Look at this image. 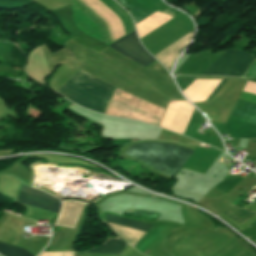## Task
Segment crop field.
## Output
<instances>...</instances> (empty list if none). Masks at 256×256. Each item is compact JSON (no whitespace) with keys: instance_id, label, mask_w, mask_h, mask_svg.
<instances>
[{"instance_id":"13","label":"crop field","mask_w":256,"mask_h":256,"mask_svg":"<svg viewBox=\"0 0 256 256\" xmlns=\"http://www.w3.org/2000/svg\"><path fill=\"white\" fill-rule=\"evenodd\" d=\"M116 1L119 2L122 6H124V7L127 9L128 12L131 13V15H132V17L134 18L135 21H137V20H139L140 18L144 17V16L147 15L148 13H150L149 15H151L152 13L155 12V11H151V10H147V9L140 8V7L135 6V7H137V8H140V9H142V10L148 12V13H146V12H144V11H142V10H140V9H137V8H135V7H133V6L129 5V4H126L125 2H123V1H125V0H123V1H122V0H116ZM149 15L145 16L144 18L148 17ZM144 18H142V19H140L139 21L135 22V24L138 23V22H140V21L143 20Z\"/></svg>"},{"instance_id":"5","label":"crop field","mask_w":256,"mask_h":256,"mask_svg":"<svg viewBox=\"0 0 256 256\" xmlns=\"http://www.w3.org/2000/svg\"><path fill=\"white\" fill-rule=\"evenodd\" d=\"M254 58L255 57L239 50L229 49L201 75H228L243 77Z\"/></svg>"},{"instance_id":"6","label":"crop field","mask_w":256,"mask_h":256,"mask_svg":"<svg viewBox=\"0 0 256 256\" xmlns=\"http://www.w3.org/2000/svg\"><path fill=\"white\" fill-rule=\"evenodd\" d=\"M109 46L113 47L114 49L118 50L122 54L126 55L127 57L131 58L132 60L138 62L145 67L156 61L143 49L139 40L136 37L135 31L127 35L122 40Z\"/></svg>"},{"instance_id":"16","label":"crop field","mask_w":256,"mask_h":256,"mask_svg":"<svg viewBox=\"0 0 256 256\" xmlns=\"http://www.w3.org/2000/svg\"><path fill=\"white\" fill-rule=\"evenodd\" d=\"M40 255H41V253H40ZM40 255H39V256H40Z\"/></svg>"},{"instance_id":"7","label":"crop field","mask_w":256,"mask_h":256,"mask_svg":"<svg viewBox=\"0 0 256 256\" xmlns=\"http://www.w3.org/2000/svg\"><path fill=\"white\" fill-rule=\"evenodd\" d=\"M21 192H25V193H29V194H33L36 196H40V197H44L47 199H51V200H55V201H59L57 199H55L54 197L41 192L39 190L36 189H32V188H28L24 185H22V188L20 190ZM18 196L17 199V203H21V204H25V205H29L32 207H36V208H40V209H44V210H48V211H52V212H56L58 213L59 208H60V204L59 202H55V201H51V200H47L44 198H40V197H36L33 195H29V194H25V193H21Z\"/></svg>"},{"instance_id":"9","label":"crop field","mask_w":256,"mask_h":256,"mask_svg":"<svg viewBox=\"0 0 256 256\" xmlns=\"http://www.w3.org/2000/svg\"><path fill=\"white\" fill-rule=\"evenodd\" d=\"M192 35L193 32L189 33L154 57L157 58L169 71L172 61L176 55L186 47L191 40Z\"/></svg>"},{"instance_id":"1","label":"crop field","mask_w":256,"mask_h":256,"mask_svg":"<svg viewBox=\"0 0 256 256\" xmlns=\"http://www.w3.org/2000/svg\"><path fill=\"white\" fill-rule=\"evenodd\" d=\"M72 6L74 20L77 23L79 29L85 34L92 36L103 43L109 45L124 37L121 26L117 21L114 14L109 11L104 5L98 0H81L83 1L94 13V14L83 2L79 0H69Z\"/></svg>"},{"instance_id":"14","label":"crop field","mask_w":256,"mask_h":256,"mask_svg":"<svg viewBox=\"0 0 256 256\" xmlns=\"http://www.w3.org/2000/svg\"><path fill=\"white\" fill-rule=\"evenodd\" d=\"M0 254L2 256H32L22 248L0 243Z\"/></svg>"},{"instance_id":"15","label":"crop field","mask_w":256,"mask_h":256,"mask_svg":"<svg viewBox=\"0 0 256 256\" xmlns=\"http://www.w3.org/2000/svg\"><path fill=\"white\" fill-rule=\"evenodd\" d=\"M245 77H252V78H256V60L255 62L252 64V66L249 68L247 74Z\"/></svg>"},{"instance_id":"11","label":"crop field","mask_w":256,"mask_h":256,"mask_svg":"<svg viewBox=\"0 0 256 256\" xmlns=\"http://www.w3.org/2000/svg\"><path fill=\"white\" fill-rule=\"evenodd\" d=\"M105 221L109 223L129 227V228L145 231V232H147L149 228L152 226L151 224H147V223H143V222H139V221H135V220H131V219H127V218H123V217H119V216H115L107 213L105 214Z\"/></svg>"},{"instance_id":"10","label":"crop field","mask_w":256,"mask_h":256,"mask_svg":"<svg viewBox=\"0 0 256 256\" xmlns=\"http://www.w3.org/2000/svg\"><path fill=\"white\" fill-rule=\"evenodd\" d=\"M129 244L123 239L108 238V240L95 249L86 250V253H106V254H121Z\"/></svg>"},{"instance_id":"3","label":"crop field","mask_w":256,"mask_h":256,"mask_svg":"<svg viewBox=\"0 0 256 256\" xmlns=\"http://www.w3.org/2000/svg\"><path fill=\"white\" fill-rule=\"evenodd\" d=\"M193 150L163 143L140 142L131 144L125 154L168 175H175Z\"/></svg>"},{"instance_id":"4","label":"crop field","mask_w":256,"mask_h":256,"mask_svg":"<svg viewBox=\"0 0 256 256\" xmlns=\"http://www.w3.org/2000/svg\"><path fill=\"white\" fill-rule=\"evenodd\" d=\"M244 90L256 94V83L247 81ZM244 90L240 96V99L256 104V95ZM240 99L238 100L229 119L241 121L256 127V105ZM231 120H228L224 129L232 137V139L256 137L255 127Z\"/></svg>"},{"instance_id":"12","label":"crop field","mask_w":256,"mask_h":256,"mask_svg":"<svg viewBox=\"0 0 256 256\" xmlns=\"http://www.w3.org/2000/svg\"><path fill=\"white\" fill-rule=\"evenodd\" d=\"M223 214L227 215L228 217L234 219L235 221L243 224L245 223L247 220H249L251 217H253L254 213L249 212L247 210H242V209H238V208H234L232 206H230L229 208H227L225 211L222 212Z\"/></svg>"},{"instance_id":"2","label":"crop field","mask_w":256,"mask_h":256,"mask_svg":"<svg viewBox=\"0 0 256 256\" xmlns=\"http://www.w3.org/2000/svg\"><path fill=\"white\" fill-rule=\"evenodd\" d=\"M115 89V87L77 69L55 91L76 104L104 114Z\"/></svg>"},{"instance_id":"8","label":"crop field","mask_w":256,"mask_h":256,"mask_svg":"<svg viewBox=\"0 0 256 256\" xmlns=\"http://www.w3.org/2000/svg\"><path fill=\"white\" fill-rule=\"evenodd\" d=\"M221 80H195L183 94L193 103L206 101Z\"/></svg>"}]
</instances>
